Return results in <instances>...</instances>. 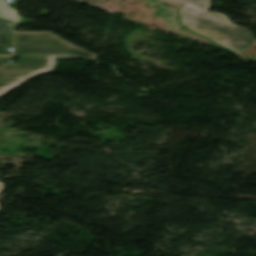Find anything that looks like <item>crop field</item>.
<instances>
[{
  "label": "crop field",
  "instance_id": "f4fd0767",
  "mask_svg": "<svg viewBox=\"0 0 256 256\" xmlns=\"http://www.w3.org/2000/svg\"><path fill=\"white\" fill-rule=\"evenodd\" d=\"M12 34L13 33L0 34V55H12L8 50V47H12Z\"/></svg>",
  "mask_w": 256,
  "mask_h": 256
},
{
  "label": "crop field",
  "instance_id": "412701ff",
  "mask_svg": "<svg viewBox=\"0 0 256 256\" xmlns=\"http://www.w3.org/2000/svg\"><path fill=\"white\" fill-rule=\"evenodd\" d=\"M6 0H0V17L18 23L20 16H18L14 9L10 8Z\"/></svg>",
  "mask_w": 256,
  "mask_h": 256
},
{
  "label": "crop field",
  "instance_id": "d8731c3e",
  "mask_svg": "<svg viewBox=\"0 0 256 256\" xmlns=\"http://www.w3.org/2000/svg\"><path fill=\"white\" fill-rule=\"evenodd\" d=\"M4 184H5V183H1V182H0V194H2V192H3Z\"/></svg>",
  "mask_w": 256,
  "mask_h": 256
},
{
  "label": "crop field",
  "instance_id": "8a807250",
  "mask_svg": "<svg viewBox=\"0 0 256 256\" xmlns=\"http://www.w3.org/2000/svg\"><path fill=\"white\" fill-rule=\"evenodd\" d=\"M186 4L179 9L178 24L211 40V46L222 47L236 55L256 43L248 30L231 23L222 15L208 12L210 0H175Z\"/></svg>",
  "mask_w": 256,
  "mask_h": 256
},
{
  "label": "crop field",
  "instance_id": "5a996713",
  "mask_svg": "<svg viewBox=\"0 0 256 256\" xmlns=\"http://www.w3.org/2000/svg\"><path fill=\"white\" fill-rule=\"evenodd\" d=\"M6 143L2 138H0V144Z\"/></svg>",
  "mask_w": 256,
  "mask_h": 256
},
{
  "label": "crop field",
  "instance_id": "dd49c442",
  "mask_svg": "<svg viewBox=\"0 0 256 256\" xmlns=\"http://www.w3.org/2000/svg\"><path fill=\"white\" fill-rule=\"evenodd\" d=\"M16 23L4 20L0 18V33L1 32H13L15 27H16Z\"/></svg>",
  "mask_w": 256,
  "mask_h": 256
},
{
  "label": "crop field",
  "instance_id": "34b2d1b8",
  "mask_svg": "<svg viewBox=\"0 0 256 256\" xmlns=\"http://www.w3.org/2000/svg\"><path fill=\"white\" fill-rule=\"evenodd\" d=\"M20 54H72L95 61L98 57L52 33H15V55Z\"/></svg>",
  "mask_w": 256,
  "mask_h": 256
},
{
  "label": "crop field",
  "instance_id": "3316defc",
  "mask_svg": "<svg viewBox=\"0 0 256 256\" xmlns=\"http://www.w3.org/2000/svg\"><path fill=\"white\" fill-rule=\"evenodd\" d=\"M73 1H75V0H73Z\"/></svg>",
  "mask_w": 256,
  "mask_h": 256
},
{
  "label": "crop field",
  "instance_id": "ac0d7876",
  "mask_svg": "<svg viewBox=\"0 0 256 256\" xmlns=\"http://www.w3.org/2000/svg\"><path fill=\"white\" fill-rule=\"evenodd\" d=\"M58 59H77L70 56H22L18 64H6L11 57H0V96L30 78L53 70Z\"/></svg>",
  "mask_w": 256,
  "mask_h": 256
},
{
  "label": "crop field",
  "instance_id": "e52e79f7",
  "mask_svg": "<svg viewBox=\"0 0 256 256\" xmlns=\"http://www.w3.org/2000/svg\"><path fill=\"white\" fill-rule=\"evenodd\" d=\"M29 22H33V21H31L29 19L22 18V21H21L22 24L29 23Z\"/></svg>",
  "mask_w": 256,
  "mask_h": 256
}]
</instances>
